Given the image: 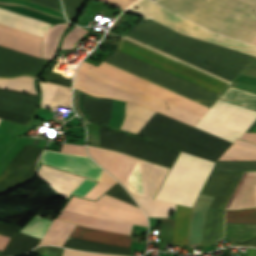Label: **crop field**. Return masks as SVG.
Instances as JSON below:
<instances>
[{"label": "crop field", "mask_w": 256, "mask_h": 256, "mask_svg": "<svg viewBox=\"0 0 256 256\" xmlns=\"http://www.w3.org/2000/svg\"><path fill=\"white\" fill-rule=\"evenodd\" d=\"M61 62L55 61L53 65L45 72L42 80L72 87V77L55 70Z\"/></svg>", "instance_id": "750c4746"}, {"label": "crop field", "mask_w": 256, "mask_h": 256, "mask_svg": "<svg viewBox=\"0 0 256 256\" xmlns=\"http://www.w3.org/2000/svg\"><path fill=\"white\" fill-rule=\"evenodd\" d=\"M0 87L36 94L33 78L29 76L0 78Z\"/></svg>", "instance_id": "ae1a2a85"}, {"label": "crop field", "mask_w": 256, "mask_h": 256, "mask_svg": "<svg viewBox=\"0 0 256 256\" xmlns=\"http://www.w3.org/2000/svg\"><path fill=\"white\" fill-rule=\"evenodd\" d=\"M58 219H62L79 225L104 229L128 235H130L132 228V225L130 224L91 218L63 210H61ZM79 225H77L73 232L70 234L71 237L102 242L127 248L130 247V244L132 242V239L129 238L128 235L103 231Z\"/></svg>", "instance_id": "28ad6ade"}, {"label": "crop field", "mask_w": 256, "mask_h": 256, "mask_svg": "<svg viewBox=\"0 0 256 256\" xmlns=\"http://www.w3.org/2000/svg\"><path fill=\"white\" fill-rule=\"evenodd\" d=\"M218 160H256V145L237 139Z\"/></svg>", "instance_id": "dafd665d"}, {"label": "crop field", "mask_w": 256, "mask_h": 256, "mask_svg": "<svg viewBox=\"0 0 256 256\" xmlns=\"http://www.w3.org/2000/svg\"><path fill=\"white\" fill-rule=\"evenodd\" d=\"M50 224L51 221L36 215L31 222L23 230H21V233L42 239ZM74 227L75 224L55 219L41 240L39 246L45 244L62 246ZM63 246L78 250L96 251L126 256H129L132 250L71 237H68Z\"/></svg>", "instance_id": "3316defc"}, {"label": "crop field", "mask_w": 256, "mask_h": 256, "mask_svg": "<svg viewBox=\"0 0 256 256\" xmlns=\"http://www.w3.org/2000/svg\"><path fill=\"white\" fill-rule=\"evenodd\" d=\"M135 5L139 6V9H134V5L131 6L126 12L135 14L144 19L152 18L180 33L190 35L196 38H200L209 42H213L219 45H223L232 49H236L242 52H246L252 55H256V46L227 38L221 34L211 32L189 20H186L171 11L149 1L140 0Z\"/></svg>", "instance_id": "5a996713"}, {"label": "crop field", "mask_w": 256, "mask_h": 256, "mask_svg": "<svg viewBox=\"0 0 256 256\" xmlns=\"http://www.w3.org/2000/svg\"><path fill=\"white\" fill-rule=\"evenodd\" d=\"M66 18L72 21L84 0H62Z\"/></svg>", "instance_id": "5866460e"}, {"label": "crop field", "mask_w": 256, "mask_h": 256, "mask_svg": "<svg viewBox=\"0 0 256 256\" xmlns=\"http://www.w3.org/2000/svg\"><path fill=\"white\" fill-rule=\"evenodd\" d=\"M32 1L46 5L50 8H53V9L59 11L57 0H32Z\"/></svg>", "instance_id": "0bd39190"}, {"label": "crop field", "mask_w": 256, "mask_h": 256, "mask_svg": "<svg viewBox=\"0 0 256 256\" xmlns=\"http://www.w3.org/2000/svg\"><path fill=\"white\" fill-rule=\"evenodd\" d=\"M241 139L256 142V133H245Z\"/></svg>", "instance_id": "b80d0937"}, {"label": "crop field", "mask_w": 256, "mask_h": 256, "mask_svg": "<svg viewBox=\"0 0 256 256\" xmlns=\"http://www.w3.org/2000/svg\"><path fill=\"white\" fill-rule=\"evenodd\" d=\"M78 89L135 102L192 126L209 109L104 61L98 67L86 62L79 73Z\"/></svg>", "instance_id": "ac0d7876"}, {"label": "crop field", "mask_w": 256, "mask_h": 256, "mask_svg": "<svg viewBox=\"0 0 256 256\" xmlns=\"http://www.w3.org/2000/svg\"><path fill=\"white\" fill-rule=\"evenodd\" d=\"M87 32V30L75 26L66 36L61 49L74 48L77 41Z\"/></svg>", "instance_id": "1d83c4d3"}, {"label": "crop field", "mask_w": 256, "mask_h": 256, "mask_svg": "<svg viewBox=\"0 0 256 256\" xmlns=\"http://www.w3.org/2000/svg\"><path fill=\"white\" fill-rule=\"evenodd\" d=\"M19 227L0 221V235L11 238L0 256L22 254L35 248L40 240L18 233Z\"/></svg>", "instance_id": "4a817a6b"}, {"label": "crop field", "mask_w": 256, "mask_h": 256, "mask_svg": "<svg viewBox=\"0 0 256 256\" xmlns=\"http://www.w3.org/2000/svg\"><path fill=\"white\" fill-rule=\"evenodd\" d=\"M218 33L252 43L256 38V0H155ZM253 44L256 45V39Z\"/></svg>", "instance_id": "34b2d1b8"}, {"label": "crop field", "mask_w": 256, "mask_h": 256, "mask_svg": "<svg viewBox=\"0 0 256 256\" xmlns=\"http://www.w3.org/2000/svg\"><path fill=\"white\" fill-rule=\"evenodd\" d=\"M42 91V105L44 108H53L59 105H71V92L69 88L60 85L40 82Z\"/></svg>", "instance_id": "bc2a9ffb"}, {"label": "crop field", "mask_w": 256, "mask_h": 256, "mask_svg": "<svg viewBox=\"0 0 256 256\" xmlns=\"http://www.w3.org/2000/svg\"><path fill=\"white\" fill-rule=\"evenodd\" d=\"M63 256H113V255L85 253V252H78V251H72V250L65 249Z\"/></svg>", "instance_id": "e1f06a70"}, {"label": "crop field", "mask_w": 256, "mask_h": 256, "mask_svg": "<svg viewBox=\"0 0 256 256\" xmlns=\"http://www.w3.org/2000/svg\"><path fill=\"white\" fill-rule=\"evenodd\" d=\"M213 165L180 152L156 199L192 207Z\"/></svg>", "instance_id": "e52e79f7"}, {"label": "crop field", "mask_w": 256, "mask_h": 256, "mask_svg": "<svg viewBox=\"0 0 256 256\" xmlns=\"http://www.w3.org/2000/svg\"><path fill=\"white\" fill-rule=\"evenodd\" d=\"M100 1H102V0H100ZM126 1L130 2L131 0H126Z\"/></svg>", "instance_id": "5d738f31"}, {"label": "crop field", "mask_w": 256, "mask_h": 256, "mask_svg": "<svg viewBox=\"0 0 256 256\" xmlns=\"http://www.w3.org/2000/svg\"><path fill=\"white\" fill-rule=\"evenodd\" d=\"M130 33L166 50L242 73L256 57L180 34L151 19L134 25Z\"/></svg>", "instance_id": "412701ff"}, {"label": "crop field", "mask_w": 256, "mask_h": 256, "mask_svg": "<svg viewBox=\"0 0 256 256\" xmlns=\"http://www.w3.org/2000/svg\"><path fill=\"white\" fill-rule=\"evenodd\" d=\"M0 23L43 37L48 27L0 12Z\"/></svg>", "instance_id": "00972430"}, {"label": "crop field", "mask_w": 256, "mask_h": 256, "mask_svg": "<svg viewBox=\"0 0 256 256\" xmlns=\"http://www.w3.org/2000/svg\"><path fill=\"white\" fill-rule=\"evenodd\" d=\"M243 172L210 173L201 194L215 197L210 209H225ZM256 206V172H244L226 209Z\"/></svg>", "instance_id": "d8731c3e"}, {"label": "crop field", "mask_w": 256, "mask_h": 256, "mask_svg": "<svg viewBox=\"0 0 256 256\" xmlns=\"http://www.w3.org/2000/svg\"><path fill=\"white\" fill-rule=\"evenodd\" d=\"M117 51L215 92L219 95L228 84L177 63L149 49L122 38ZM105 61L143 77L171 91L211 107L219 95L128 57L119 52ZM104 61V62H105ZM256 121V111L218 99L195 127L234 142Z\"/></svg>", "instance_id": "8a807250"}, {"label": "crop field", "mask_w": 256, "mask_h": 256, "mask_svg": "<svg viewBox=\"0 0 256 256\" xmlns=\"http://www.w3.org/2000/svg\"><path fill=\"white\" fill-rule=\"evenodd\" d=\"M8 241H9V238L0 236V250L1 251L5 247V245L7 244Z\"/></svg>", "instance_id": "c21b1889"}, {"label": "crop field", "mask_w": 256, "mask_h": 256, "mask_svg": "<svg viewBox=\"0 0 256 256\" xmlns=\"http://www.w3.org/2000/svg\"><path fill=\"white\" fill-rule=\"evenodd\" d=\"M221 99L256 109V94L229 87Z\"/></svg>", "instance_id": "eef30255"}, {"label": "crop field", "mask_w": 256, "mask_h": 256, "mask_svg": "<svg viewBox=\"0 0 256 256\" xmlns=\"http://www.w3.org/2000/svg\"><path fill=\"white\" fill-rule=\"evenodd\" d=\"M70 211L91 217L148 226L146 216L141 209L105 194L96 202L79 198Z\"/></svg>", "instance_id": "22f410ed"}, {"label": "crop field", "mask_w": 256, "mask_h": 256, "mask_svg": "<svg viewBox=\"0 0 256 256\" xmlns=\"http://www.w3.org/2000/svg\"><path fill=\"white\" fill-rule=\"evenodd\" d=\"M134 196V195H133ZM145 210L147 216L168 217L170 210L175 211L176 205L143 197L134 196Z\"/></svg>", "instance_id": "730fd06b"}, {"label": "crop field", "mask_w": 256, "mask_h": 256, "mask_svg": "<svg viewBox=\"0 0 256 256\" xmlns=\"http://www.w3.org/2000/svg\"><path fill=\"white\" fill-rule=\"evenodd\" d=\"M49 61L50 60L41 59L29 54L0 46V64L7 65L32 74L38 75ZM3 65H0V76L13 77L23 74L32 75ZM36 75L32 76L36 77Z\"/></svg>", "instance_id": "d9b57169"}, {"label": "crop field", "mask_w": 256, "mask_h": 256, "mask_svg": "<svg viewBox=\"0 0 256 256\" xmlns=\"http://www.w3.org/2000/svg\"><path fill=\"white\" fill-rule=\"evenodd\" d=\"M236 246H251V247H256V238L251 239V240H249V241H246V242L241 243V244L236 245Z\"/></svg>", "instance_id": "c035e120"}, {"label": "crop field", "mask_w": 256, "mask_h": 256, "mask_svg": "<svg viewBox=\"0 0 256 256\" xmlns=\"http://www.w3.org/2000/svg\"><path fill=\"white\" fill-rule=\"evenodd\" d=\"M256 236V224L226 223L225 237H231V245Z\"/></svg>", "instance_id": "a9b5d70f"}, {"label": "crop field", "mask_w": 256, "mask_h": 256, "mask_svg": "<svg viewBox=\"0 0 256 256\" xmlns=\"http://www.w3.org/2000/svg\"><path fill=\"white\" fill-rule=\"evenodd\" d=\"M105 193L139 207L136 202L131 198V196L127 193L124 187L118 182Z\"/></svg>", "instance_id": "120bbe31"}, {"label": "crop field", "mask_w": 256, "mask_h": 256, "mask_svg": "<svg viewBox=\"0 0 256 256\" xmlns=\"http://www.w3.org/2000/svg\"><path fill=\"white\" fill-rule=\"evenodd\" d=\"M42 162L51 166L63 169L78 175L100 180L103 169L96 165L90 158L75 155L51 152L45 150L42 155ZM56 170L42 164L39 175L44 181ZM85 178L56 170L45 182L54 188L62 196H69L78 188ZM117 181L107 172H103L101 180L97 181L86 179L73 195L83 197L96 183V185L84 196L85 198L96 200L106 190Z\"/></svg>", "instance_id": "f4fd0767"}, {"label": "crop field", "mask_w": 256, "mask_h": 256, "mask_svg": "<svg viewBox=\"0 0 256 256\" xmlns=\"http://www.w3.org/2000/svg\"><path fill=\"white\" fill-rule=\"evenodd\" d=\"M247 256H256V249L248 248Z\"/></svg>", "instance_id": "03da06ac"}, {"label": "crop field", "mask_w": 256, "mask_h": 256, "mask_svg": "<svg viewBox=\"0 0 256 256\" xmlns=\"http://www.w3.org/2000/svg\"><path fill=\"white\" fill-rule=\"evenodd\" d=\"M226 222L256 223V208L240 211H226Z\"/></svg>", "instance_id": "bd1437ed"}, {"label": "crop field", "mask_w": 256, "mask_h": 256, "mask_svg": "<svg viewBox=\"0 0 256 256\" xmlns=\"http://www.w3.org/2000/svg\"><path fill=\"white\" fill-rule=\"evenodd\" d=\"M43 152L26 145L0 175V194L28 181L34 175L38 157Z\"/></svg>", "instance_id": "cbeb9de0"}, {"label": "crop field", "mask_w": 256, "mask_h": 256, "mask_svg": "<svg viewBox=\"0 0 256 256\" xmlns=\"http://www.w3.org/2000/svg\"><path fill=\"white\" fill-rule=\"evenodd\" d=\"M68 24H58L49 28L43 37L42 57L52 59L59 39Z\"/></svg>", "instance_id": "4177f3b9"}, {"label": "crop field", "mask_w": 256, "mask_h": 256, "mask_svg": "<svg viewBox=\"0 0 256 256\" xmlns=\"http://www.w3.org/2000/svg\"><path fill=\"white\" fill-rule=\"evenodd\" d=\"M174 219H161L160 248L164 241H172Z\"/></svg>", "instance_id": "d32e631a"}, {"label": "crop field", "mask_w": 256, "mask_h": 256, "mask_svg": "<svg viewBox=\"0 0 256 256\" xmlns=\"http://www.w3.org/2000/svg\"><path fill=\"white\" fill-rule=\"evenodd\" d=\"M90 156L114 175L132 194L154 199L169 169L131 156L88 147Z\"/></svg>", "instance_id": "dd49c442"}, {"label": "crop field", "mask_w": 256, "mask_h": 256, "mask_svg": "<svg viewBox=\"0 0 256 256\" xmlns=\"http://www.w3.org/2000/svg\"><path fill=\"white\" fill-rule=\"evenodd\" d=\"M225 256H230V250H226V255Z\"/></svg>", "instance_id": "b54c1fbb"}, {"label": "crop field", "mask_w": 256, "mask_h": 256, "mask_svg": "<svg viewBox=\"0 0 256 256\" xmlns=\"http://www.w3.org/2000/svg\"><path fill=\"white\" fill-rule=\"evenodd\" d=\"M1 252V251H0Z\"/></svg>", "instance_id": "d23c7cc5"}, {"label": "crop field", "mask_w": 256, "mask_h": 256, "mask_svg": "<svg viewBox=\"0 0 256 256\" xmlns=\"http://www.w3.org/2000/svg\"><path fill=\"white\" fill-rule=\"evenodd\" d=\"M80 105L88 117V122H97L109 125L112 115V100L95 98L81 92ZM153 110L138 104L125 102L124 116L121 129L136 133Z\"/></svg>", "instance_id": "d1516ede"}, {"label": "crop field", "mask_w": 256, "mask_h": 256, "mask_svg": "<svg viewBox=\"0 0 256 256\" xmlns=\"http://www.w3.org/2000/svg\"><path fill=\"white\" fill-rule=\"evenodd\" d=\"M60 152L87 156L85 146H73V145L64 144Z\"/></svg>", "instance_id": "028f5c9d"}, {"label": "crop field", "mask_w": 256, "mask_h": 256, "mask_svg": "<svg viewBox=\"0 0 256 256\" xmlns=\"http://www.w3.org/2000/svg\"><path fill=\"white\" fill-rule=\"evenodd\" d=\"M224 229V211H208L202 246L216 245V240L223 237Z\"/></svg>", "instance_id": "214f88e0"}, {"label": "crop field", "mask_w": 256, "mask_h": 256, "mask_svg": "<svg viewBox=\"0 0 256 256\" xmlns=\"http://www.w3.org/2000/svg\"><path fill=\"white\" fill-rule=\"evenodd\" d=\"M256 171V161H217L212 172Z\"/></svg>", "instance_id": "d3111659"}, {"label": "crop field", "mask_w": 256, "mask_h": 256, "mask_svg": "<svg viewBox=\"0 0 256 256\" xmlns=\"http://www.w3.org/2000/svg\"><path fill=\"white\" fill-rule=\"evenodd\" d=\"M192 208L177 205L173 243L187 245Z\"/></svg>", "instance_id": "92a150f3"}, {"label": "crop field", "mask_w": 256, "mask_h": 256, "mask_svg": "<svg viewBox=\"0 0 256 256\" xmlns=\"http://www.w3.org/2000/svg\"><path fill=\"white\" fill-rule=\"evenodd\" d=\"M0 45L41 57V37L1 24Z\"/></svg>", "instance_id": "733c2abd"}, {"label": "crop field", "mask_w": 256, "mask_h": 256, "mask_svg": "<svg viewBox=\"0 0 256 256\" xmlns=\"http://www.w3.org/2000/svg\"><path fill=\"white\" fill-rule=\"evenodd\" d=\"M37 101L38 95L0 89V118L28 125Z\"/></svg>", "instance_id": "5142ce71"}]
</instances>
